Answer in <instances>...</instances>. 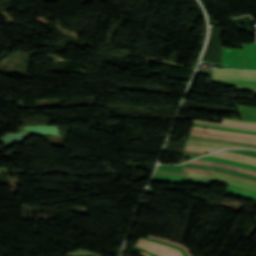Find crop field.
Here are the masks:
<instances>
[{"instance_id":"obj_1","label":"crop field","mask_w":256,"mask_h":256,"mask_svg":"<svg viewBox=\"0 0 256 256\" xmlns=\"http://www.w3.org/2000/svg\"><path fill=\"white\" fill-rule=\"evenodd\" d=\"M221 66L245 69L243 50L223 48Z\"/></svg>"},{"instance_id":"obj_2","label":"crop field","mask_w":256,"mask_h":256,"mask_svg":"<svg viewBox=\"0 0 256 256\" xmlns=\"http://www.w3.org/2000/svg\"><path fill=\"white\" fill-rule=\"evenodd\" d=\"M213 79L256 80V72L233 71V70H214Z\"/></svg>"},{"instance_id":"obj_3","label":"crop field","mask_w":256,"mask_h":256,"mask_svg":"<svg viewBox=\"0 0 256 256\" xmlns=\"http://www.w3.org/2000/svg\"><path fill=\"white\" fill-rule=\"evenodd\" d=\"M191 134H192V133H191ZM193 135H197V134H193ZM193 135H190L188 139H191V140H198V141H206V142H213V143H224V144H231V145H239V146H245V147L256 148V145L246 144V143H240V142H249V143H255V144H256V142L243 141V140H235V139H226V138H216V137L205 136V137H209V138L240 141V142H232V141H224V140H216V139H207V138H202V137L193 136ZM199 136H203V135H199Z\"/></svg>"},{"instance_id":"obj_4","label":"crop field","mask_w":256,"mask_h":256,"mask_svg":"<svg viewBox=\"0 0 256 256\" xmlns=\"http://www.w3.org/2000/svg\"><path fill=\"white\" fill-rule=\"evenodd\" d=\"M246 69H256V44H244Z\"/></svg>"},{"instance_id":"obj_5","label":"crop field","mask_w":256,"mask_h":256,"mask_svg":"<svg viewBox=\"0 0 256 256\" xmlns=\"http://www.w3.org/2000/svg\"><path fill=\"white\" fill-rule=\"evenodd\" d=\"M139 243H143L155 250H158V251H161L165 254H168L170 256H182V254L174 249V248H170V247H167V246H163V245H160V244H157L155 242H151V241H147V240H142V239H139L138 240Z\"/></svg>"},{"instance_id":"obj_6","label":"crop field","mask_w":256,"mask_h":256,"mask_svg":"<svg viewBox=\"0 0 256 256\" xmlns=\"http://www.w3.org/2000/svg\"><path fill=\"white\" fill-rule=\"evenodd\" d=\"M223 119L236 120V121H243V122H250V123H256V122H254V121H246V120H238V119H230V118H223ZM236 121H227V120H223V121H222V124H218V123H210V122H203V121H196V120H194V122H199V123H209V124H217V125H226V126H234V127L247 128V129H255V130H256V124L243 123V122H236Z\"/></svg>"},{"instance_id":"obj_7","label":"crop field","mask_w":256,"mask_h":256,"mask_svg":"<svg viewBox=\"0 0 256 256\" xmlns=\"http://www.w3.org/2000/svg\"><path fill=\"white\" fill-rule=\"evenodd\" d=\"M204 160L222 162V163H226V164H230V165H234V166H238V167H242V168H246V169L256 171V167H254V166H250V165H246V164H242V163H237V162L227 160V159L207 156Z\"/></svg>"},{"instance_id":"obj_8","label":"crop field","mask_w":256,"mask_h":256,"mask_svg":"<svg viewBox=\"0 0 256 256\" xmlns=\"http://www.w3.org/2000/svg\"><path fill=\"white\" fill-rule=\"evenodd\" d=\"M186 145L195 146V147L213 148V149H220L224 147H238V146L212 144V143H205V142H198V141H191V140H188Z\"/></svg>"},{"instance_id":"obj_9","label":"crop field","mask_w":256,"mask_h":256,"mask_svg":"<svg viewBox=\"0 0 256 256\" xmlns=\"http://www.w3.org/2000/svg\"><path fill=\"white\" fill-rule=\"evenodd\" d=\"M204 162L206 163V165L232 169V170H236V171H240V172H244V173H248V174L256 176V172H254V171H250V170H246V169H242V168H238V167H234V166L224 165V164L213 163V162H207V161H204Z\"/></svg>"},{"instance_id":"obj_10","label":"crop field","mask_w":256,"mask_h":256,"mask_svg":"<svg viewBox=\"0 0 256 256\" xmlns=\"http://www.w3.org/2000/svg\"><path fill=\"white\" fill-rule=\"evenodd\" d=\"M211 168L213 169V171L229 173V174H232V175H236V176H239V177H243V178H247V179H251V180H255L256 181V177L255 176H251V175L240 173V172H236V171L226 170V169H222V168H218V167H211Z\"/></svg>"},{"instance_id":"obj_11","label":"crop field","mask_w":256,"mask_h":256,"mask_svg":"<svg viewBox=\"0 0 256 256\" xmlns=\"http://www.w3.org/2000/svg\"><path fill=\"white\" fill-rule=\"evenodd\" d=\"M214 154H218V155H222V156H228V157H233V158H238V159H242V160H246V161H250V162L256 163V159L255 158H251V157H247V156H243V155H239V154H235V153H229V152L220 151V152L214 153Z\"/></svg>"},{"instance_id":"obj_12","label":"crop field","mask_w":256,"mask_h":256,"mask_svg":"<svg viewBox=\"0 0 256 256\" xmlns=\"http://www.w3.org/2000/svg\"><path fill=\"white\" fill-rule=\"evenodd\" d=\"M184 176L209 179L210 174L197 171H184Z\"/></svg>"},{"instance_id":"obj_13","label":"crop field","mask_w":256,"mask_h":256,"mask_svg":"<svg viewBox=\"0 0 256 256\" xmlns=\"http://www.w3.org/2000/svg\"><path fill=\"white\" fill-rule=\"evenodd\" d=\"M144 239L151 240V241H155V242H158V243H161V244H164V245H168V246L174 247V248L180 250V251L182 252L183 256H188V255L186 254V252H185L182 248H180V247H177V246L168 244V243L163 242V241H160V240H155V239H150V238H144Z\"/></svg>"},{"instance_id":"obj_14","label":"crop field","mask_w":256,"mask_h":256,"mask_svg":"<svg viewBox=\"0 0 256 256\" xmlns=\"http://www.w3.org/2000/svg\"><path fill=\"white\" fill-rule=\"evenodd\" d=\"M185 150L199 151V152H205V153H209L211 151H214L212 149L195 148V147H189V146H186Z\"/></svg>"},{"instance_id":"obj_15","label":"crop field","mask_w":256,"mask_h":256,"mask_svg":"<svg viewBox=\"0 0 256 256\" xmlns=\"http://www.w3.org/2000/svg\"><path fill=\"white\" fill-rule=\"evenodd\" d=\"M183 167H189V168H195V169H206L211 170L207 166H201V165H191V164H184Z\"/></svg>"},{"instance_id":"obj_16","label":"crop field","mask_w":256,"mask_h":256,"mask_svg":"<svg viewBox=\"0 0 256 256\" xmlns=\"http://www.w3.org/2000/svg\"><path fill=\"white\" fill-rule=\"evenodd\" d=\"M192 130H194V129H192ZM194 131L208 132V133H215V134H221V135H227V136H235V137H243V138L256 139V138H252V137L239 136V135H232V134H224V133H216V132H210V131H201V130H194Z\"/></svg>"},{"instance_id":"obj_17","label":"crop field","mask_w":256,"mask_h":256,"mask_svg":"<svg viewBox=\"0 0 256 256\" xmlns=\"http://www.w3.org/2000/svg\"><path fill=\"white\" fill-rule=\"evenodd\" d=\"M149 237H151V238H156V239H160V238H157V237H154V236H151V235H150ZM160 240H163V241H166V242H169V243H172V244H175V245H178V246L183 247V248L187 251L188 255L191 256L190 253H189V249H188L187 247H184V246H182V245H180V244H177V243H175V242H173V241L164 240V239H160Z\"/></svg>"},{"instance_id":"obj_18","label":"crop field","mask_w":256,"mask_h":256,"mask_svg":"<svg viewBox=\"0 0 256 256\" xmlns=\"http://www.w3.org/2000/svg\"><path fill=\"white\" fill-rule=\"evenodd\" d=\"M194 124H198V125H208V126H216V127H222V128H228V129H234V130H241V131L256 132V131H254V130H246V129L229 128V127L217 126V125L199 124V123H194Z\"/></svg>"},{"instance_id":"obj_19","label":"crop field","mask_w":256,"mask_h":256,"mask_svg":"<svg viewBox=\"0 0 256 256\" xmlns=\"http://www.w3.org/2000/svg\"><path fill=\"white\" fill-rule=\"evenodd\" d=\"M136 245H138V246H140V247H142V248H144V249H146V250H148V251H150V252L156 253V254H158V255H160V256H167V255L162 254V253H160V252L154 251V250H152V249H150V248H148V247H146V246H144V245H142V244L137 243Z\"/></svg>"},{"instance_id":"obj_20","label":"crop field","mask_w":256,"mask_h":256,"mask_svg":"<svg viewBox=\"0 0 256 256\" xmlns=\"http://www.w3.org/2000/svg\"><path fill=\"white\" fill-rule=\"evenodd\" d=\"M193 128L194 129L216 131V132H225V133H233V134H239V135H246V134H241V133H236V132H229V131L211 130V129L196 128V127H193ZM247 136H253V135H247Z\"/></svg>"},{"instance_id":"obj_21","label":"crop field","mask_w":256,"mask_h":256,"mask_svg":"<svg viewBox=\"0 0 256 256\" xmlns=\"http://www.w3.org/2000/svg\"><path fill=\"white\" fill-rule=\"evenodd\" d=\"M211 156H217V155H213V154H210ZM217 157H222V156H217ZM222 158H227V159H231V160H234V161H238V162H242V163H246V164H250V165H254L256 166V164L254 163H250V162H246V161H242V160H238V159H233V158H228V157H222Z\"/></svg>"},{"instance_id":"obj_22","label":"crop field","mask_w":256,"mask_h":256,"mask_svg":"<svg viewBox=\"0 0 256 256\" xmlns=\"http://www.w3.org/2000/svg\"><path fill=\"white\" fill-rule=\"evenodd\" d=\"M193 132V131H191ZM193 133H198V134H205V135H213V134H206V133H200V132H193ZM213 136H220V135H213ZM221 137H227V136H221ZM230 138H235V137H230ZM238 139H243V138H238ZM246 140H251V139H246ZM256 141V140H253Z\"/></svg>"},{"instance_id":"obj_23","label":"crop field","mask_w":256,"mask_h":256,"mask_svg":"<svg viewBox=\"0 0 256 256\" xmlns=\"http://www.w3.org/2000/svg\"><path fill=\"white\" fill-rule=\"evenodd\" d=\"M189 163L205 165L202 161H199V160H195V161H192V162H189Z\"/></svg>"},{"instance_id":"obj_24","label":"crop field","mask_w":256,"mask_h":256,"mask_svg":"<svg viewBox=\"0 0 256 256\" xmlns=\"http://www.w3.org/2000/svg\"><path fill=\"white\" fill-rule=\"evenodd\" d=\"M184 155H186V156H192V157L199 156V155H197V154H188V153H184Z\"/></svg>"},{"instance_id":"obj_25","label":"crop field","mask_w":256,"mask_h":256,"mask_svg":"<svg viewBox=\"0 0 256 256\" xmlns=\"http://www.w3.org/2000/svg\"><path fill=\"white\" fill-rule=\"evenodd\" d=\"M133 248L141 249V248H138V247H136V246H134ZM146 253L150 254L151 256H157V255H155V254H153V253H150V252H148V251H147Z\"/></svg>"},{"instance_id":"obj_26","label":"crop field","mask_w":256,"mask_h":256,"mask_svg":"<svg viewBox=\"0 0 256 256\" xmlns=\"http://www.w3.org/2000/svg\"><path fill=\"white\" fill-rule=\"evenodd\" d=\"M140 253H141L140 255H142V256H149V255H147V254H145L143 252H140Z\"/></svg>"},{"instance_id":"obj_27","label":"crop field","mask_w":256,"mask_h":256,"mask_svg":"<svg viewBox=\"0 0 256 256\" xmlns=\"http://www.w3.org/2000/svg\"><path fill=\"white\" fill-rule=\"evenodd\" d=\"M185 152H189V151H185ZM189 153H198V152H189ZM198 154H204V153H198Z\"/></svg>"}]
</instances>
